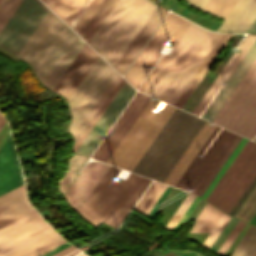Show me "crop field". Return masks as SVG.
Masks as SVG:
<instances>
[{
    "mask_svg": "<svg viewBox=\"0 0 256 256\" xmlns=\"http://www.w3.org/2000/svg\"><path fill=\"white\" fill-rule=\"evenodd\" d=\"M47 10L39 0H23L0 32V46L16 56Z\"/></svg>",
    "mask_w": 256,
    "mask_h": 256,
    "instance_id": "28ad6ade",
    "label": "crop field"
},
{
    "mask_svg": "<svg viewBox=\"0 0 256 256\" xmlns=\"http://www.w3.org/2000/svg\"><path fill=\"white\" fill-rule=\"evenodd\" d=\"M155 7L150 0H119L88 44L114 67Z\"/></svg>",
    "mask_w": 256,
    "mask_h": 256,
    "instance_id": "412701ff",
    "label": "crop field"
},
{
    "mask_svg": "<svg viewBox=\"0 0 256 256\" xmlns=\"http://www.w3.org/2000/svg\"><path fill=\"white\" fill-rule=\"evenodd\" d=\"M219 130L220 127L216 126L207 141L204 143L178 182L175 184V187L183 189L184 185L187 184L198 189L197 192L200 190L202 185L205 183L207 178L210 176L212 171L215 169L219 161L222 159L238 135L223 129L215 142L206 152V155H208L206 160L203 161L197 158L200 152L204 153Z\"/></svg>",
    "mask_w": 256,
    "mask_h": 256,
    "instance_id": "3316defc",
    "label": "crop field"
},
{
    "mask_svg": "<svg viewBox=\"0 0 256 256\" xmlns=\"http://www.w3.org/2000/svg\"><path fill=\"white\" fill-rule=\"evenodd\" d=\"M51 231L53 229L34 210L0 227V256H5Z\"/></svg>",
    "mask_w": 256,
    "mask_h": 256,
    "instance_id": "cbeb9de0",
    "label": "crop field"
},
{
    "mask_svg": "<svg viewBox=\"0 0 256 256\" xmlns=\"http://www.w3.org/2000/svg\"><path fill=\"white\" fill-rule=\"evenodd\" d=\"M256 253V227L251 225L231 256H254Z\"/></svg>",
    "mask_w": 256,
    "mask_h": 256,
    "instance_id": "750c4746",
    "label": "crop field"
},
{
    "mask_svg": "<svg viewBox=\"0 0 256 256\" xmlns=\"http://www.w3.org/2000/svg\"><path fill=\"white\" fill-rule=\"evenodd\" d=\"M115 73L116 72L99 56L67 101L73 116L69 126V132L71 134L76 130ZM90 104L91 106H89Z\"/></svg>",
    "mask_w": 256,
    "mask_h": 256,
    "instance_id": "5a996713",
    "label": "crop field"
},
{
    "mask_svg": "<svg viewBox=\"0 0 256 256\" xmlns=\"http://www.w3.org/2000/svg\"><path fill=\"white\" fill-rule=\"evenodd\" d=\"M120 75H118L116 73V75L114 76V78L111 80V82L109 83V85L107 86V88L104 90V92L102 93V95L100 96V98L97 100V102L95 103V105L93 106V108L90 110V112L88 113V115L86 116V118L83 120V122L81 123V125L79 126V128L76 130V132L74 133V138L75 141L77 140V138L79 137V135L81 134V132L84 130V128L86 127V125L89 123V121L91 120V118L93 117V115L96 113V111L98 110V108L101 106V104L103 103V101L105 100V98L108 96V94L110 93V91L113 89V87L115 86V84L117 83V81L120 79Z\"/></svg>",
    "mask_w": 256,
    "mask_h": 256,
    "instance_id": "120bbe31",
    "label": "crop field"
},
{
    "mask_svg": "<svg viewBox=\"0 0 256 256\" xmlns=\"http://www.w3.org/2000/svg\"><path fill=\"white\" fill-rule=\"evenodd\" d=\"M87 159L88 158L76 154L68 160L69 161V169H68L67 173L65 174V176L63 178H61V180L59 182L60 191H61L62 195L66 191V189L68 188L70 183L73 181V179L75 178L77 173L80 171V169L82 168L84 163L87 161Z\"/></svg>",
    "mask_w": 256,
    "mask_h": 256,
    "instance_id": "bd1437ed",
    "label": "crop field"
},
{
    "mask_svg": "<svg viewBox=\"0 0 256 256\" xmlns=\"http://www.w3.org/2000/svg\"><path fill=\"white\" fill-rule=\"evenodd\" d=\"M255 141H256V138H255Z\"/></svg>",
    "mask_w": 256,
    "mask_h": 256,
    "instance_id": "0fb4a251",
    "label": "crop field"
},
{
    "mask_svg": "<svg viewBox=\"0 0 256 256\" xmlns=\"http://www.w3.org/2000/svg\"><path fill=\"white\" fill-rule=\"evenodd\" d=\"M237 0H210L204 11L225 19Z\"/></svg>",
    "mask_w": 256,
    "mask_h": 256,
    "instance_id": "5866460e",
    "label": "crop field"
},
{
    "mask_svg": "<svg viewBox=\"0 0 256 256\" xmlns=\"http://www.w3.org/2000/svg\"><path fill=\"white\" fill-rule=\"evenodd\" d=\"M66 242L62 237H60L55 231L14 251L13 253L7 256H24L31 252H34L40 248V250L32 253L29 256H38L62 243Z\"/></svg>",
    "mask_w": 256,
    "mask_h": 256,
    "instance_id": "730fd06b",
    "label": "crop field"
},
{
    "mask_svg": "<svg viewBox=\"0 0 256 256\" xmlns=\"http://www.w3.org/2000/svg\"><path fill=\"white\" fill-rule=\"evenodd\" d=\"M108 167L102 162L87 163L64 194L68 204L77 210ZM118 171L110 166L77 210L96 226L104 222L115 228L151 182V179L130 173L121 183H115L113 179Z\"/></svg>",
    "mask_w": 256,
    "mask_h": 256,
    "instance_id": "8a807250",
    "label": "crop field"
},
{
    "mask_svg": "<svg viewBox=\"0 0 256 256\" xmlns=\"http://www.w3.org/2000/svg\"><path fill=\"white\" fill-rule=\"evenodd\" d=\"M255 256H256V254H255Z\"/></svg>",
    "mask_w": 256,
    "mask_h": 256,
    "instance_id": "1d79db26",
    "label": "crop field"
},
{
    "mask_svg": "<svg viewBox=\"0 0 256 256\" xmlns=\"http://www.w3.org/2000/svg\"><path fill=\"white\" fill-rule=\"evenodd\" d=\"M255 174L256 143L248 140L206 200L228 213Z\"/></svg>",
    "mask_w": 256,
    "mask_h": 256,
    "instance_id": "e52e79f7",
    "label": "crop field"
},
{
    "mask_svg": "<svg viewBox=\"0 0 256 256\" xmlns=\"http://www.w3.org/2000/svg\"><path fill=\"white\" fill-rule=\"evenodd\" d=\"M167 10L158 6L152 12L148 20L145 22L141 30L138 32L134 40L131 42L127 50L124 52L120 60L115 65V69L124 75L131 63L134 61L138 53L141 51L145 43L153 34L157 26L160 24L164 16L167 14Z\"/></svg>",
    "mask_w": 256,
    "mask_h": 256,
    "instance_id": "bc2a9ffb",
    "label": "crop field"
},
{
    "mask_svg": "<svg viewBox=\"0 0 256 256\" xmlns=\"http://www.w3.org/2000/svg\"><path fill=\"white\" fill-rule=\"evenodd\" d=\"M42 1L46 3L47 0H42Z\"/></svg>",
    "mask_w": 256,
    "mask_h": 256,
    "instance_id": "dbb93151",
    "label": "crop field"
},
{
    "mask_svg": "<svg viewBox=\"0 0 256 256\" xmlns=\"http://www.w3.org/2000/svg\"><path fill=\"white\" fill-rule=\"evenodd\" d=\"M223 213L224 212L207 202L196 217V221L190 233L210 232Z\"/></svg>",
    "mask_w": 256,
    "mask_h": 256,
    "instance_id": "eef30255",
    "label": "crop field"
},
{
    "mask_svg": "<svg viewBox=\"0 0 256 256\" xmlns=\"http://www.w3.org/2000/svg\"><path fill=\"white\" fill-rule=\"evenodd\" d=\"M118 0H87L70 27L87 43Z\"/></svg>",
    "mask_w": 256,
    "mask_h": 256,
    "instance_id": "733c2abd",
    "label": "crop field"
},
{
    "mask_svg": "<svg viewBox=\"0 0 256 256\" xmlns=\"http://www.w3.org/2000/svg\"><path fill=\"white\" fill-rule=\"evenodd\" d=\"M203 123L176 109L133 172L163 182Z\"/></svg>",
    "mask_w": 256,
    "mask_h": 256,
    "instance_id": "34b2d1b8",
    "label": "crop field"
},
{
    "mask_svg": "<svg viewBox=\"0 0 256 256\" xmlns=\"http://www.w3.org/2000/svg\"><path fill=\"white\" fill-rule=\"evenodd\" d=\"M213 122L245 135H256V60Z\"/></svg>",
    "mask_w": 256,
    "mask_h": 256,
    "instance_id": "dd49c442",
    "label": "crop field"
},
{
    "mask_svg": "<svg viewBox=\"0 0 256 256\" xmlns=\"http://www.w3.org/2000/svg\"><path fill=\"white\" fill-rule=\"evenodd\" d=\"M155 1H158V0H155ZM190 4H192L194 7L197 5V3L199 2V0H187ZM191 5V6H192ZM192 6V7H193Z\"/></svg>",
    "mask_w": 256,
    "mask_h": 256,
    "instance_id": "25e5ab78",
    "label": "crop field"
},
{
    "mask_svg": "<svg viewBox=\"0 0 256 256\" xmlns=\"http://www.w3.org/2000/svg\"><path fill=\"white\" fill-rule=\"evenodd\" d=\"M233 34H229V33H224V35L222 36V38L219 40V42L217 43V45L215 46V48L212 50V52L210 53V55L208 56V58L205 60V62L203 63V65L201 66V68L198 70V72L196 73V75L194 76V78L191 80V82L189 83V85L187 86V88L184 90V92L182 93V95L180 96V98L177 100V102L175 103V106L181 108V106L184 104V102L186 101V99L189 97V95L192 93V91L194 90V88L197 86V84L199 83V81L202 79V77L204 76V74L207 72V70L210 68V66L212 65V63L215 61V59L217 58V56L220 54V52L222 51V49L225 47V45L227 44V42L230 40V38L232 37Z\"/></svg>",
    "mask_w": 256,
    "mask_h": 256,
    "instance_id": "4177f3b9",
    "label": "crop field"
},
{
    "mask_svg": "<svg viewBox=\"0 0 256 256\" xmlns=\"http://www.w3.org/2000/svg\"><path fill=\"white\" fill-rule=\"evenodd\" d=\"M134 92L135 89L125 81L89 135L79 147L77 153L90 156Z\"/></svg>",
    "mask_w": 256,
    "mask_h": 256,
    "instance_id": "d9b57169",
    "label": "crop field"
},
{
    "mask_svg": "<svg viewBox=\"0 0 256 256\" xmlns=\"http://www.w3.org/2000/svg\"><path fill=\"white\" fill-rule=\"evenodd\" d=\"M256 59V41L253 43L251 48L248 50L246 55L240 61L238 66L235 68L233 73L227 79L228 86L226 88L222 87L217 96L214 98L210 106L207 108L205 113L202 115V118L212 121L217 112L220 110L224 102L227 100L229 95L232 93L234 88L237 86L241 78L244 76L246 71L249 69L251 64Z\"/></svg>",
    "mask_w": 256,
    "mask_h": 256,
    "instance_id": "92a150f3",
    "label": "crop field"
},
{
    "mask_svg": "<svg viewBox=\"0 0 256 256\" xmlns=\"http://www.w3.org/2000/svg\"><path fill=\"white\" fill-rule=\"evenodd\" d=\"M5 121H6V120H4V119L2 118V116H1V118H0V129H1V127L3 126V124L5 123Z\"/></svg>",
    "mask_w": 256,
    "mask_h": 256,
    "instance_id": "73cf0c24",
    "label": "crop field"
},
{
    "mask_svg": "<svg viewBox=\"0 0 256 256\" xmlns=\"http://www.w3.org/2000/svg\"><path fill=\"white\" fill-rule=\"evenodd\" d=\"M213 128L203 125L198 134L195 136L193 141L190 143L186 151L183 153L179 161L176 163L174 168L171 170L164 183L174 186L181 174L184 172L186 167L189 165L193 157L196 155L200 147L203 145L205 140L208 138Z\"/></svg>",
    "mask_w": 256,
    "mask_h": 256,
    "instance_id": "a9b5d70f",
    "label": "crop field"
},
{
    "mask_svg": "<svg viewBox=\"0 0 256 256\" xmlns=\"http://www.w3.org/2000/svg\"><path fill=\"white\" fill-rule=\"evenodd\" d=\"M189 23L190 22L169 12L136 60L125 73L124 78L138 88L146 74L158 59L160 54L157 53L161 46L167 41L173 42L174 45Z\"/></svg>",
    "mask_w": 256,
    "mask_h": 256,
    "instance_id": "d8731c3e",
    "label": "crop field"
},
{
    "mask_svg": "<svg viewBox=\"0 0 256 256\" xmlns=\"http://www.w3.org/2000/svg\"><path fill=\"white\" fill-rule=\"evenodd\" d=\"M157 102V100L148 102L107 163L132 171L175 109L166 104L163 110L157 114L153 109Z\"/></svg>",
    "mask_w": 256,
    "mask_h": 256,
    "instance_id": "f4fd0767",
    "label": "crop field"
},
{
    "mask_svg": "<svg viewBox=\"0 0 256 256\" xmlns=\"http://www.w3.org/2000/svg\"><path fill=\"white\" fill-rule=\"evenodd\" d=\"M84 43L82 39L67 27L36 69L35 72L40 81L52 90Z\"/></svg>",
    "mask_w": 256,
    "mask_h": 256,
    "instance_id": "d1516ede",
    "label": "crop field"
},
{
    "mask_svg": "<svg viewBox=\"0 0 256 256\" xmlns=\"http://www.w3.org/2000/svg\"><path fill=\"white\" fill-rule=\"evenodd\" d=\"M256 16V0H238L219 30L246 31Z\"/></svg>",
    "mask_w": 256,
    "mask_h": 256,
    "instance_id": "dafd665d",
    "label": "crop field"
},
{
    "mask_svg": "<svg viewBox=\"0 0 256 256\" xmlns=\"http://www.w3.org/2000/svg\"><path fill=\"white\" fill-rule=\"evenodd\" d=\"M247 142V139L243 138L240 140V142L237 144V146L235 147V149L233 150V152L230 154V156L228 157V159L226 160V162L223 164V166L221 167V169L219 170V172L216 174V176L214 177V179L212 180V182L209 184V186L207 187V189L205 190V192L202 194V198L206 199V197L209 195V193L211 192V190L214 188V186L216 185V183L219 181V179L221 178V176L224 174V172L226 171V169L229 167V165L232 163V161L234 160V158L237 156V154L239 153V151L242 149V147L244 146V144Z\"/></svg>",
    "mask_w": 256,
    "mask_h": 256,
    "instance_id": "028f5c9d",
    "label": "crop field"
},
{
    "mask_svg": "<svg viewBox=\"0 0 256 256\" xmlns=\"http://www.w3.org/2000/svg\"><path fill=\"white\" fill-rule=\"evenodd\" d=\"M247 31H254V32H256V17L253 20V22L251 23V25L249 26V28L247 29Z\"/></svg>",
    "mask_w": 256,
    "mask_h": 256,
    "instance_id": "d23c7cc5",
    "label": "crop field"
},
{
    "mask_svg": "<svg viewBox=\"0 0 256 256\" xmlns=\"http://www.w3.org/2000/svg\"><path fill=\"white\" fill-rule=\"evenodd\" d=\"M149 99L137 92L91 157L106 162Z\"/></svg>",
    "mask_w": 256,
    "mask_h": 256,
    "instance_id": "5142ce71",
    "label": "crop field"
},
{
    "mask_svg": "<svg viewBox=\"0 0 256 256\" xmlns=\"http://www.w3.org/2000/svg\"><path fill=\"white\" fill-rule=\"evenodd\" d=\"M196 195L194 194H190L188 193V195L186 196V198L184 199V201L181 203V205L179 206V208L177 209V211L175 212V214L173 215V217L170 219V221L168 222V224L166 225V228L172 230V228L175 226V224L177 223V221L180 219V217L182 216V214L185 212V210L187 209V207L190 205V203L192 202V200L195 198Z\"/></svg>",
    "mask_w": 256,
    "mask_h": 256,
    "instance_id": "0bd39190",
    "label": "crop field"
},
{
    "mask_svg": "<svg viewBox=\"0 0 256 256\" xmlns=\"http://www.w3.org/2000/svg\"><path fill=\"white\" fill-rule=\"evenodd\" d=\"M208 1H209V0H200V2L198 3V5L196 6V8L203 10V8L205 7V5L207 4Z\"/></svg>",
    "mask_w": 256,
    "mask_h": 256,
    "instance_id": "5d738f31",
    "label": "crop field"
},
{
    "mask_svg": "<svg viewBox=\"0 0 256 256\" xmlns=\"http://www.w3.org/2000/svg\"><path fill=\"white\" fill-rule=\"evenodd\" d=\"M241 139L240 136H238V138L235 140V142L233 143V145L230 147V149L228 150V152L225 154V156L223 157V159L220 161V163L218 164V166L216 167V169L213 171V173L211 174V176L208 178V180L206 181V183L203 185V187L201 188V190L198 192V195L201 196V194L203 193V191L206 189V187L208 186V184L210 183V181L213 179V177L215 176V174L217 173V171L220 169V167L222 166V164L224 163V161L227 159V157L229 156V154L231 153V151L234 149V147L236 146V144L238 143V141Z\"/></svg>",
    "mask_w": 256,
    "mask_h": 256,
    "instance_id": "b80d0937",
    "label": "crop field"
},
{
    "mask_svg": "<svg viewBox=\"0 0 256 256\" xmlns=\"http://www.w3.org/2000/svg\"><path fill=\"white\" fill-rule=\"evenodd\" d=\"M166 57V54H164L161 59L158 61V63L155 65V67L153 68V70L151 71V73L149 74V76L146 78V80L143 82V84L140 86L139 90L142 91V89L145 87V85L147 84V82L150 80V78L152 77V75L155 73V71L157 70V68L159 67V65L161 64V62L164 60V58Z\"/></svg>",
    "mask_w": 256,
    "mask_h": 256,
    "instance_id": "c21b1889",
    "label": "crop field"
},
{
    "mask_svg": "<svg viewBox=\"0 0 256 256\" xmlns=\"http://www.w3.org/2000/svg\"><path fill=\"white\" fill-rule=\"evenodd\" d=\"M191 23L143 90L172 105L223 35Z\"/></svg>",
    "mask_w": 256,
    "mask_h": 256,
    "instance_id": "ac0d7876",
    "label": "crop field"
},
{
    "mask_svg": "<svg viewBox=\"0 0 256 256\" xmlns=\"http://www.w3.org/2000/svg\"><path fill=\"white\" fill-rule=\"evenodd\" d=\"M179 256H200V255H198L197 253H195V252H192V251H185V252H183L181 255H179Z\"/></svg>",
    "mask_w": 256,
    "mask_h": 256,
    "instance_id": "425ffa30",
    "label": "crop field"
},
{
    "mask_svg": "<svg viewBox=\"0 0 256 256\" xmlns=\"http://www.w3.org/2000/svg\"><path fill=\"white\" fill-rule=\"evenodd\" d=\"M86 0H48L47 5L68 25Z\"/></svg>",
    "mask_w": 256,
    "mask_h": 256,
    "instance_id": "ae1a2a85",
    "label": "crop field"
},
{
    "mask_svg": "<svg viewBox=\"0 0 256 256\" xmlns=\"http://www.w3.org/2000/svg\"><path fill=\"white\" fill-rule=\"evenodd\" d=\"M98 56L85 43L52 91L65 96L67 100Z\"/></svg>",
    "mask_w": 256,
    "mask_h": 256,
    "instance_id": "4a817a6b",
    "label": "crop field"
},
{
    "mask_svg": "<svg viewBox=\"0 0 256 256\" xmlns=\"http://www.w3.org/2000/svg\"><path fill=\"white\" fill-rule=\"evenodd\" d=\"M161 183V182H160ZM153 181L140 201L134 207V210L146 215L154 205L158 197L161 195L166 185Z\"/></svg>",
    "mask_w": 256,
    "mask_h": 256,
    "instance_id": "d3111659",
    "label": "crop field"
},
{
    "mask_svg": "<svg viewBox=\"0 0 256 256\" xmlns=\"http://www.w3.org/2000/svg\"><path fill=\"white\" fill-rule=\"evenodd\" d=\"M77 256H86V255H84V254L81 253V254H79V255H77Z\"/></svg>",
    "mask_w": 256,
    "mask_h": 256,
    "instance_id": "1f2cbd36",
    "label": "crop field"
},
{
    "mask_svg": "<svg viewBox=\"0 0 256 256\" xmlns=\"http://www.w3.org/2000/svg\"><path fill=\"white\" fill-rule=\"evenodd\" d=\"M22 0L0 1V31Z\"/></svg>",
    "mask_w": 256,
    "mask_h": 256,
    "instance_id": "e1f06a70",
    "label": "crop field"
},
{
    "mask_svg": "<svg viewBox=\"0 0 256 256\" xmlns=\"http://www.w3.org/2000/svg\"><path fill=\"white\" fill-rule=\"evenodd\" d=\"M256 35L253 34H247V36L244 38L242 43L239 45V48L243 49L241 53L238 56L232 55L230 60L227 62L223 70L220 72L214 83L211 85L205 96L202 98L198 106L193 111V114H196L199 116V114L202 112L204 107L207 105L211 97L214 95L216 90L219 88V85L222 80L226 81V79L229 77V75L232 73L234 68L237 66L239 61L242 59V57L245 55L247 50L250 48L252 43L255 41Z\"/></svg>",
    "mask_w": 256,
    "mask_h": 256,
    "instance_id": "00972430",
    "label": "crop field"
},
{
    "mask_svg": "<svg viewBox=\"0 0 256 256\" xmlns=\"http://www.w3.org/2000/svg\"><path fill=\"white\" fill-rule=\"evenodd\" d=\"M256 212V185L247 196L245 201L239 207L237 212L234 214V217L245 220L249 222L254 213ZM251 221V220H250Z\"/></svg>",
    "mask_w": 256,
    "mask_h": 256,
    "instance_id": "d32e631a",
    "label": "crop field"
},
{
    "mask_svg": "<svg viewBox=\"0 0 256 256\" xmlns=\"http://www.w3.org/2000/svg\"><path fill=\"white\" fill-rule=\"evenodd\" d=\"M68 246H70V245L66 242V243H64V244L54 248L53 250H51V251H49V252H47V253H45V254H43L41 256H50V255H52V254H54V253H56V252H58V251H60V250H62L64 248H66Z\"/></svg>",
    "mask_w": 256,
    "mask_h": 256,
    "instance_id": "b54c1fbb",
    "label": "crop field"
},
{
    "mask_svg": "<svg viewBox=\"0 0 256 256\" xmlns=\"http://www.w3.org/2000/svg\"><path fill=\"white\" fill-rule=\"evenodd\" d=\"M201 198L197 197L193 200V202L191 203V205L188 207V209L186 210V212L183 214V216L181 217V219L178 221V223L176 224V226L173 228V231L177 232V230L180 228V226L183 224V222L186 220V218L188 217V215L191 213V211L194 209V207L197 205V203L200 201Z\"/></svg>",
    "mask_w": 256,
    "mask_h": 256,
    "instance_id": "c035e120",
    "label": "crop field"
},
{
    "mask_svg": "<svg viewBox=\"0 0 256 256\" xmlns=\"http://www.w3.org/2000/svg\"><path fill=\"white\" fill-rule=\"evenodd\" d=\"M66 27L48 10L16 57L31 65L35 71Z\"/></svg>",
    "mask_w": 256,
    "mask_h": 256,
    "instance_id": "22f410ed",
    "label": "crop field"
},
{
    "mask_svg": "<svg viewBox=\"0 0 256 256\" xmlns=\"http://www.w3.org/2000/svg\"><path fill=\"white\" fill-rule=\"evenodd\" d=\"M250 223H253L256 225V214L253 216V218L251 219Z\"/></svg>",
    "mask_w": 256,
    "mask_h": 256,
    "instance_id": "89e229c0",
    "label": "crop field"
},
{
    "mask_svg": "<svg viewBox=\"0 0 256 256\" xmlns=\"http://www.w3.org/2000/svg\"><path fill=\"white\" fill-rule=\"evenodd\" d=\"M124 79L121 77V79L118 81V83L116 84V86L114 87V89L111 91V93L109 94V96L107 97V99L104 101V103L102 104V106L99 108V110L97 111V113L95 114V116L92 118V120L90 121V123L88 124V126L85 128V130L83 131V133L81 134V136L78 138V140L75 142L74 146H73V150L76 152V150L78 149V147L81 145V143L83 142V140L85 139V137L87 136V134L90 132V130L92 129V127L94 126V124L97 122V120L99 119V117L101 116V114L103 113V111L106 109V107L108 106V104L110 103V101L112 100V98L115 96V94L117 93V91L119 90V88L122 86V84L124 83Z\"/></svg>",
    "mask_w": 256,
    "mask_h": 256,
    "instance_id": "1d83c4d3",
    "label": "crop field"
},
{
    "mask_svg": "<svg viewBox=\"0 0 256 256\" xmlns=\"http://www.w3.org/2000/svg\"><path fill=\"white\" fill-rule=\"evenodd\" d=\"M21 184V170L9 134L0 148V195Z\"/></svg>",
    "mask_w": 256,
    "mask_h": 256,
    "instance_id": "214f88e0",
    "label": "crop field"
},
{
    "mask_svg": "<svg viewBox=\"0 0 256 256\" xmlns=\"http://www.w3.org/2000/svg\"><path fill=\"white\" fill-rule=\"evenodd\" d=\"M78 252H80V251H78L77 249H75L74 247L71 246L53 256H70V255L78 253Z\"/></svg>",
    "mask_w": 256,
    "mask_h": 256,
    "instance_id": "03da06ac",
    "label": "crop field"
}]
</instances>
